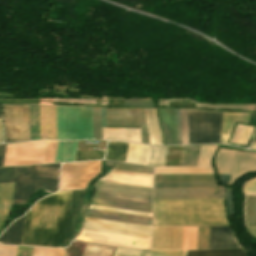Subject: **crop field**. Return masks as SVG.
Instances as JSON below:
<instances>
[{
  "instance_id": "crop-field-16",
  "label": "crop field",
  "mask_w": 256,
  "mask_h": 256,
  "mask_svg": "<svg viewBox=\"0 0 256 256\" xmlns=\"http://www.w3.org/2000/svg\"><path fill=\"white\" fill-rule=\"evenodd\" d=\"M41 139L57 140L55 106L39 105Z\"/></svg>"
},
{
  "instance_id": "crop-field-24",
  "label": "crop field",
  "mask_w": 256,
  "mask_h": 256,
  "mask_svg": "<svg viewBox=\"0 0 256 256\" xmlns=\"http://www.w3.org/2000/svg\"><path fill=\"white\" fill-rule=\"evenodd\" d=\"M24 217L25 215L10 225V227L0 237V242H3L4 244L20 245Z\"/></svg>"
},
{
  "instance_id": "crop-field-3",
  "label": "crop field",
  "mask_w": 256,
  "mask_h": 256,
  "mask_svg": "<svg viewBox=\"0 0 256 256\" xmlns=\"http://www.w3.org/2000/svg\"><path fill=\"white\" fill-rule=\"evenodd\" d=\"M60 164L16 167L13 204H26L30 194L40 187L57 191Z\"/></svg>"
},
{
  "instance_id": "crop-field-41",
  "label": "crop field",
  "mask_w": 256,
  "mask_h": 256,
  "mask_svg": "<svg viewBox=\"0 0 256 256\" xmlns=\"http://www.w3.org/2000/svg\"><path fill=\"white\" fill-rule=\"evenodd\" d=\"M94 139L102 140L101 108H93Z\"/></svg>"
},
{
  "instance_id": "crop-field-35",
  "label": "crop field",
  "mask_w": 256,
  "mask_h": 256,
  "mask_svg": "<svg viewBox=\"0 0 256 256\" xmlns=\"http://www.w3.org/2000/svg\"><path fill=\"white\" fill-rule=\"evenodd\" d=\"M113 248L111 246L87 243L83 256H112Z\"/></svg>"
},
{
  "instance_id": "crop-field-6",
  "label": "crop field",
  "mask_w": 256,
  "mask_h": 256,
  "mask_svg": "<svg viewBox=\"0 0 256 256\" xmlns=\"http://www.w3.org/2000/svg\"><path fill=\"white\" fill-rule=\"evenodd\" d=\"M101 173V161L62 164L60 190L85 189Z\"/></svg>"
},
{
  "instance_id": "crop-field-54",
  "label": "crop field",
  "mask_w": 256,
  "mask_h": 256,
  "mask_svg": "<svg viewBox=\"0 0 256 256\" xmlns=\"http://www.w3.org/2000/svg\"><path fill=\"white\" fill-rule=\"evenodd\" d=\"M231 193H232V190H227L226 207H227V213H228L229 216L233 215Z\"/></svg>"
},
{
  "instance_id": "crop-field-37",
  "label": "crop field",
  "mask_w": 256,
  "mask_h": 256,
  "mask_svg": "<svg viewBox=\"0 0 256 256\" xmlns=\"http://www.w3.org/2000/svg\"><path fill=\"white\" fill-rule=\"evenodd\" d=\"M200 147H183L180 166L196 165Z\"/></svg>"
},
{
  "instance_id": "crop-field-55",
  "label": "crop field",
  "mask_w": 256,
  "mask_h": 256,
  "mask_svg": "<svg viewBox=\"0 0 256 256\" xmlns=\"http://www.w3.org/2000/svg\"><path fill=\"white\" fill-rule=\"evenodd\" d=\"M6 146H7V144L0 145V166H2V164H3Z\"/></svg>"
},
{
  "instance_id": "crop-field-12",
  "label": "crop field",
  "mask_w": 256,
  "mask_h": 256,
  "mask_svg": "<svg viewBox=\"0 0 256 256\" xmlns=\"http://www.w3.org/2000/svg\"><path fill=\"white\" fill-rule=\"evenodd\" d=\"M218 146H201L197 167H155V174L215 173L211 161Z\"/></svg>"
},
{
  "instance_id": "crop-field-11",
  "label": "crop field",
  "mask_w": 256,
  "mask_h": 256,
  "mask_svg": "<svg viewBox=\"0 0 256 256\" xmlns=\"http://www.w3.org/2000/svg\"><path fill=\"white\" fill-rule=\"evenodd\" d=\"M79 241L150 249V240L82 230L75 238Z\"/></svg>"
},
{
  "instance_id": "crop-field-29",
  "label": "crop field",
  "mask_w": 256,
  "mask_h": 256,
  "mask_svg": "<svg viewBox=\"0 0 256 256\" xmlns=\"http://www.w3.org/2000/svg\"><path fill=\"white\" fill-rule=\"evenodd\" d=\"M76 143L59 141L55 163L73 161Z\"/></svg>"
},
{
  "instance_id": "crop-field-40",
  "label": "crop field",
  "mask_w": 256,
  "mask_h": 256,
  "mask_svg": "<svg viewBox=\"0 0 256 256\" xmlns=\"http://www.w3.org/2000/svg\"><path fill=\"white\" fill-rule=\"evenodd\" d=\"M182 147H168L165 166H179Z\"/></svg>"
},
{
  "instance_id": "crop-field-45",
  "label": "crop field",
  "mask_w": 256,
  "mask_h": 256,
  "mask_svg": "<svg viewBox=\"0 0 256 256\" xmlns=\"http://www.w3.org/2000/svg\"><path fill=\"white\" fill-rule=\"evenodd\" d=\"M95 194L152 202V198L96 190Z\"/></svg>"
},
{
  "instance_id": "crop-field-43",
  "label": "crop field",
  "mask_w": 256,
  "mask_h": 256,
  "mask_svg": "<svg viewBox=\"0 0 256 256\" xmlns=\"http://www.w3.org/2000/svg\"><path fill=\"white\" fill-rule=\"evenodd\" d=\"M105 152L77 151L74 161L103 159Z\"/></svg>"
},
{
  "instance_id": "crop-field-18",
  "label": "crop field",
  "mask_w": 256,
  "mask_h": 256,
  "mask_svg": "<svg viewBox=\"0 0 256 256\" xmlns=\"http://www.w3.org/2000/svg\"><path fill=\"white\" fill-rule=\"evenodd\" d=\"M242 248L229 227H210V249Z\"/></svg>"
},
{
  "instance_id": "crop-field-50",
  "label": "crop field",
  "mask_w": 256,
  "mask_h": 256,
  "mask_svg": "<svg viewBox=\"0 0 256 256\" xmlns=\"http://www.w3.org/2000/svg\"><path fill=\"white\" fill-rule=\"evenodd\" d=\"M17 246L0 245V256H15Z\"/></svg>"
},
{
  "instance_id": "crop-field-27",
  "label": "crop field",
  "mask_w": 256,
  "mask_h": 256,
  "mask_svg": "<svg viewBox=\"0 0 256 256\" xmlns=\"http://www.w3.org/2000/svg\"><path fill=\"white\" fill-rule=\"evenodd\" d=\"M154 181H215L213 174L155 175Z\"/></svg>"
},
{
  "instance_id": "crop-field-21",
  "label": "crop field",
  "mask_w": 256,
  "mask_h": 256,
  "mask_svg": "<svg viewBox=\"0 0 256 256\" xmlns=\"http://www.w3.org/2000/svg\"><path fill=\"white\" fill-rule=\"evenodd\" d=\"M96 189L152 197V189L98 181Z\"/></svg>"
},
{
  "instance_id": "crop-field-42",
  "label": "crop field",
  "mask_w": 256,
  "mask_h": 256,
  "mask_svg": "<svg viewBox=\"0 0 256 256\" xmlns=\"http://www.w3.org/2000/svg\"><path fill=\"white\" fill-rule=\"evenodd\" d=\"M66 250L34 247L33 256H65Z\"/></svg>"
},
{
  "instance_id": "crop-field-26",
  "label": "crop field",
  "mask_w": 256,
  "mask_h": 256,
  "mask_svg": "<svg viewBox=\"0 0 256 256\" xmlns=\"http://www.w3.org/2000/svg\"><path fill=\"white\" fill-rule=\"evenodd\" d=\"M185 251H139L126 248H116L114 256H184Z\"/></svg>"
},
{
  "instance_id": "crop-field-46",
  "label": "crop field",
  "mask_w": 256,
  "mask_h": 256,
  "mask_svg": "<svg viewBox=\"0 0 256 256\" xmlns=\"http://www.w3.org/2000/svg\"><path fill=\"white\" fill-rule=\"evenodd\" d=\"M15 167L0 169V183L14 182Z\"/></svg>"
},
{
  "instance_id": "crop-field-20",
  "label": "crop field",
  "mask_w": 256,
  "mask_h": 256,
  "mask_svg": "<svg viewBox=\"0 0 256 256\" xmlns=\"http://www.w3.org/2000/svg\"><path fill=\"white\" fill-rule=\"evenodd\" d=\"M103 140L142 143L140 129L103 128Z\"/></svg>"
},
{
  "instance_id": "crop-field-8",
  "label": "crop field",
  "mask_w": 256,
  "mask_h": 256,
  "mask_svg": "<svg viewBox=\"0 0 256 256\" xmlns=\"http://www.w3.org/2000/svg\"><path fill=\"white\" fill-rule=\"evenodd\" d=\"M45 141L8 144L3 166L41 164Z\"/></svg>"
},
{
  "instance_id": "crop-field-31",
  "label": "crop field",
  "mask_w": 256,
  "mask_h": 256,
  "mask_svg": "<svg viewBox=\"0 0 256 256\" xmlns=\"http://www.w3.org/2000/svg\"><path fill=\"white\" fill-rule=\"evenodd\" d=\"M217 187L215 182H154V188Z\"/></svg>"
},
{
  "instance_id": "crop-field-57",
  "label": "crop field",
  "mask_w": 256,
  "mask_h": 256,
  "mask_svg": "<svg viewBox=\"0 0 256 256\" xmlns=\"http://www.w3.org/2000/svg\"><path fill=\"white\" fill-rule=\"evenodd\" d=\"M250 236L256 238V227H246Z\"/></svg>"
},
{
  "instance_id": "crop-field-51",
  "label": "crop field",
  "mask_w": 256,
  "mask_h": 256,
  "mask_svg": "<svg viewBox=\"0 0 256 256\" xmlns=\"http://www.w3.org/2000/svg\"><path fill=\"white\" fill-rule=\"evenodd\" d=\"M243 192L249 194H256V178L244 184Z\"/></svg>"
},
{
  "instance_id": "crop-field-59",
  "label": "crop field",
  "mask_w": 256,
  "mask_h": 256,
  "mask_svg": "<svg viewBox=\"0 0 256 256\" xmlns=\"http://www.w3.org/2000/svg\"><path fill=\"white\" fill-rule=\"evenodd\" d=\"M2 140V130H1V122H0V142Z\"/></svg>"
},
{
  "instance_id": "crop-field-32",
  "label": "crop field",
  "mask_w": 256,
  "mask_h": 256,
  "mask_svg": "<svg viewBox=\"0 0 256 256\" xmlns=\"http://www.w3.org/2000/svg\"><path fill=\"white\" fill-rule=\"evenodd\" d=\"M167 147H150L146 165L164 166Z\"/></svg>"
},
{
  "instance_id": "crop-field-15",
  "label": "crop field",
  "mask_w": 256,
  "mask_h": 256,
  "mask_svg": "<svg viewBox=\"0 0 256 256\" xmlns=\"http://www.w3.org/2000/svg\"><path fill=\"white\" fill-rule=\"evenodd\" d=\"M91 204L107 207L151 212L152 203L94 195Z\"/></svg>"
},
{
  "instance_id": "crop-field-56",
  "label": "crop field",
  "mask_w": 256,
  "mask_h": 256,
  "mask_svg": "<svg viewBox=\"0 0 256 256\" xmlns=\"http://www.w3.org/2000/svg\"><path fill=\"white\" fill-rule=\"evenodd\" d=\"M218 175H219V177H220V179L222 181L223 186L226 187L228 182H229L230 175H224V174H218Z\"/></svg>"
},
{
  "instance_id": "crop-field-14",
  "label": "crop field",
  "mask_w": 256,
  "mask_h": 256,
  "mask_svg": "<svg viewBox=\"0 0 256 256\" xmlns=\"http://www.w3.org/2000/svg\"><path fill=\"white\" fill-rule=\"evenodd\" d=\"M100 180L152 188L153 175L112 170Z\"/></svg>"
},
{
  "instance_id": "crop-field-49",
  "label": "crop field",
  "mask_w": 256,
  "mask_h": 256,
  "mask_svg": "<svg viewBox=\"0 0 256 256\" xmlns=\"http://www.w3.org/2000/svg\"><path fill=\"white\" fill-rule=\"evenodd\" d=\"M183 144H188L186 110H181Z\"/></svg>"
},
{
  "instance_id": "crop-field-38",
  "label": "crop field",
  "mask_w": 256,
  "mask_h": 256,
  "mask_svg": "<svg viewBox=\"0 0 256 256\" xmlns=\"http://www.w3.org/2000/svg\"><path fill=\"white\" fill-rule=\"evenodd\" d=\"M106 163L107 165H115L113 169H117V170L153 174V167H149V166H141V165H133V164H125V163H117V162H109V161H106Z\"/></svg>"
},
{
  "instance_id": "crop-field-47",
  "label": "crop field",
  "mask_w": 256,
  "mask_h": 256,
  "mask_svg": "<svg viewBox=\"0 0 256 256\" xmlns=\"http://www.w3.org/2000/svg\"><path fill=\"white\" fill-rule=\"evenodd\" d=\"M125 106L153 107L154 103L151 99H131V100H125Z\"/></svg>"
},
{
  "instance_id": "crop-field-28",
  "label": "crop field",
  "mask_w": 256,
  "mask_h": 256,
  "mask_svg": "<svg viewBox=\"0 0 256 256\" xmlns=\"http://www.w3.org/2000/svg\"><path fill=\"white\" fill-rule=\"evenodd\" d=\"M149 147L129 143L126 162L145 165Z\"/></svg>"
},
{
  "instance_id": "crop-field-5",
  "label": "crop field",
  "mask_w": 256,
  "mask_h": 256,
  "mask_svg": "<svg viewBox=\"0 0 256 256\" xmlns=\"http://www.w3.org/2000/svg\"><path fill=\"white\" fill-rule=\"evenodd\" d=\"M189 144L220 143L222 113L187 110Z\"/></svg>"
},
{
  "instance_id": "crop-field-23",
  "label": "crop field",
  "mask_w": 256,
  "mask_h": 256,
  "mask_svg": "<svg viewBox=\"0 0 256 256\" xmlns=\"http://www.w3.org/2000/svg\"><path fill=\"white\" fill-rule=\"evenodd\" d=\"M149 141L151 145H162L161 133L155 109H145Z\"/></svg>"
},
{
  "instance_id": "crop-field-2",
  "label": "crop field",
  "mask_w": 256,
  "mask_h": 256,
  "mask_svg": "<svg viewBox=\"0 0 256 256\" xmlns=\"http://www.w3.org/2000/svg\"><path fill=\"white\" fill-rule=\"evenodd\" d=\"M229 225L223 199H154L153 226Z\"/></svg>"
},
{
  "instance_id": "crop-field-58",
  "label": "crop field",
  "mask_w": 256,
  "mask_h": 256,
  "mask_svg": "<svg viewBox=\"0 0 256 256\" xmlns=\"http://www.w3.org/2000/svg\"><path fill=\"white\" fill-rule=\"evenodd\" d=\"M103 127H105V108H102Z\"/></svg>"
},
{
  "instance_id": "crop-field-19",
  "label": "crop field",
  "mask_w": 256,
  "mask_h": 256,
  "mask_svg": "<svg viewBox=\"0 0 256 256\" xmlns=\"http://www.w3.org/2000/svg\"><path fill=\"white\" fill-rule=\"evenodd\" d=\"M165 144H177L175 109H158Z\"/></svg>"
},
{
  "instance_id": "crop-field-1",
  "label": "crop field",
  "mask_w": 256,
  "mask_h": 256,
  "mask_svg": "<svg viewBox=\"0 0 256 256\" xmlns=\"http://www.w3.org/2000/svg\"><path fill=\"white\" fill-rule=\"evenodd\" d=\"M72 191L39 200L27 213L21 245L63 247Z\"/></svg>"
},
{
  "instance_id": "crop-field-7",
  "label": "crop field",
  "mask_w": 256,
  "mask_h": 256,
  "mask_svg": "<svg viewBox=\"0 0 256 256\" xmlns=\"http://www.w3.org/2000/svg\"><path fill=\"white\" fill-rule=\"evenodd\" d=\"M5 142L30 140L28 105L3 106Z\"/></svg>"
},
{
  "instance_id": "crop-field-52",
  "label": "crop field",
  "mask_w": 256,
  "mask_h": 256,
  "mask_svg": "<svg viewBox=\"0 0 256 256\" xmlns=\"http://www.w3.org/2000/svg\"><path fill=\"white\" fill-rule=\"evenodd\" d=\"M33 247L18 246L16 256H32Z\"/></svg>"
},
{
  "instance_id": "crop-field-22",
  "label": "crop field",
  "mask_w": 256,
  "mask_h": 256,
  "mask_svg": "<svg viewBox=\"0 0 256 256\" xmlns=\"http://www.w3.org/2000/svg\"><path fill=\"white\" fill-rule=\"evenodd\" d=\"M14 183L0 184V228L12 206Z\"/></svg>"
},
{
  "instance_id": "crop-field-30",
  "label": "crop field",
  "mask_w": 256,
  "mask_h": 256,
  "mask_svg": "<svg viewBox=\"0 0 256 256\" xmlns=\"http://www.w3.org/2000/svg\"><path fill=\"white\" fill-rule=\"evenodd\" d=\"M128 143L108 142L105 159L125 162Z\"/></svg>"
},
{
  "instance_id": "crop-field-25",
  "label": "crop field",
  "mask_w": 256,
  "mask_h": 256,
  "mask_svg": "<svg viewBox=\"0 0 256 256\" xmlns=\"http://www.w3.org/2000/svg\"><path fill=\"white\" fill-rule=\"evenodd\" d=\"M84 193V190L73 191L65 240L69 238L73 232L78 210L82 205L81 198Z\"/></svg>"
},
{
  "instance_id": "crop-field-53",
  "label": "crop field",
  "mask_w": 256,
  "mask_h": 256,
  "mask_svg": "<svg viewBox=\"0 0 256 256\" xmlns=\"http://www.w3.org/2000/svg\"><path fill=\"white\" fill-rule=\"evenodd\" d=\"M178 144H182L180 110L176 109Z\"/></svg>"
},
{
  "instance_id": "crop-field-9",
  "label": "crop field",
  "mask_w": 256,
  "mask_h": 256,
  "mask_svg": "<svg viewBox=\"0 0 256 256\" xmlns=\"http://www.w3.org/2000/svg\"><path fill=\"white\" fill-rule=\"evenodd\" d=\"M106 126L141 127L143 143L149 144L144 109H106Z\"/></svg>"
},
{
  "instance_id": "crop-field-44",
  "label": "crop field",
  "mask_w": 256,
  "mask_h": 256,
  "mask_svg": "<svg viewBox=\"0 0 256 256\" xmlns=\"http://www.w3.org/2000/svg\"><path fill=\"white\" fill-rule=\"evenodd\" d=\"M198 249H209V227H199Z\"/></svg>"
},
{
  "instance_id": "crop-field-10",
  "label": "crop field",
  "mask_w": 256,
  "mask_h": 256,
  "mask_svg": "<svg viewBox=\"0 0 256 256\" xmlns=\"http://www.w3.org/2000/svg\"><path fill=\"white\" fill-rule=\"evenodd\" d=\"M82 229L150 239L151 227L85 218Z\"/></svg>"
},
{
  "instance_id": "crop-field-4",
  "label": "crop field",
  "mask_w": 256,
  "mask_h": 256,
  "mask_svg": "<svg viewBox=\"0 0 256 256\" xmlns=\"http://www.w3.org/2000/svg\"><path fill=\"white\" fill-rule=\"evenodd\" d=\"M58 140L93 139L92 108L56 106Z\"/></svg>"
},
{
  "instance_id": "crop-field-60",
  "label": "crop field",
  "mask_w": 256,
  "mask_h": 256,
  "mask_svg": "<svg viewBox=\"0 0 256 256\" xmlns=\"http://www.w3.org/2000/svg\"><path fill=\"white\" fill-rule=\"evenodd\" d=\"M251 149H256V143H254Z\"/></svg>"
},
{
  "instance_id": "crop-field-39",
  "label": "crop field",
  "mask_w": 256,
  "mask_h": 256,
  "mask_svg": "<svg viewBox=\"0 0 256 256\" xmlns=\"http://www.w3.org/2000/svg\"><path fill=\"white\" fill-rule=\"evenodd\" d=\"M58 141H46L42 164L54 163Z\"/></svg>"
},
{
  "instance_id": "crop-field-33",
  "label": "crop field",
  "mask_w": 256,
  "mask_h": 256,
  "mask_svg": "<svg viewBox=\"0 0 256 256\" xmlns=\"http://www.w3.org/2000/svg\"><path fill=\"white\" fill-rule=\"evenodd\" d=\"M186 256H245L242 249L216 251H187Z\"/></svg>"
},
{
  "instance_id": "crop-field-17",
  "label": "crop field",
  "mask_w": 256,
  "mask_h": 256,
  "mask_svg": "<svg viewBox=\"0 0 256 256\" xmlns=\"http://www.w3.org/2000/svg\"><path fill=\"white\" fill-rule=\"evenodd\" d=\"M85 217L151 226V218L88 209Z\"/></svg>"
},
{
  "instance_id": "crop-field-34",
  "label": "crop field",
  "mask_w": 256,
  "mask_h": 256,
  "mask_svg": "<svg viewBox=\"0 0 256 256\" xmlns=\"http://www.w3.org/2000/svg\"><path fill=\"white\" fill-rule=\"evenodd\" d=\"M198 227H184L183 250L197 249Z\"/></svg>"
},
{
  "instance_id": "crop-field-48",
  "label": "crop field",
  "mask_w": 256,
  "mask_h": 256,
  "mask_svg": "<svg viewBox=\"0 0 256 256\" xmlns=\"http://www.w3.org/2000/svg\"><path fill=\"white\" fill-rule=\"evenodd\" d=\"M90 208L151 217V214H148V213H141V212H135V211L121 210V209H113V208H105V207H97V206H92V205L90 206Z\"/></svg>"
},
{
  "instance_id": "crop-field-13",
  "label": "crop field",
  "mask_w": 256,
  "mask_h": 256,
  "mask_svg": "<svg viewBox=\"0 0 256 256\" xmlns=\"http://www.w3.org/2000/svg\"><path fill=\"white\" fill-rule=\"evenodd\" d=\"M224 188L154 189V198H223Z\"/></svg>"
},
{
  "instance_id": "crop-field-36",
  "label": "crop field",
  "mask_w": 256,
  "mask_h": 256,
  "mask_svg": "<svg viewBox=\"0 0 256 256\" xmlns=\"http://www.w3.org/2000/svg\"><path fill=\"white\" fill-rule=\"evenodd\" d=\"M31 140L40 139L38 105H29Z\"/></svg>"
}]
</instances>
